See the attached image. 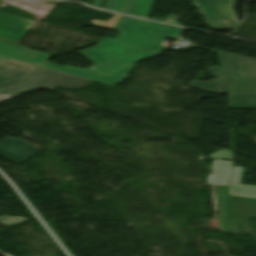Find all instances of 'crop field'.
Returning <instances> with one entry per match:
<instances>
[{
    "label": "crop field",
    "mask_w": 256,
    "mask_h": 256,
    "mask_svg": "<svg viewBox=\"0 0 256 256\" xmlns=\"http://www.w3.org/2000/svg\"><path fill=\"white\" fill-rule=\"evenodd\" d=\"M7 58L0 57V64L5 61Z\"/></svg>",
    "instance_id": "4a817a6b"
},
{
    "label": "crop field",
    "mask_w": 256,
    "mask_h": 256,
    "mask_svg": "<svg viewBox=\"0 0 256 256\" xmlns=\"http://www.w3.org/2000/svg\"><path fill=\"white\" fill-rule=\"evenodd\" d=\"M37 66L7 59L0 65V102L41 89L20 81Z\"/></svg>",
    "instance_id": "412701ff"
},
{
    "label": "crop field",
    "mask_w": 256,
    "mask_h": 256,
    "mask_svg": "<svg viewBox=\"0 0 256 256\" xmlns=\"http://www.w3.org/2000/svg\"><path fill=\"white\" fill-rule=\"evenodd\" d=\"M102 1L103 0H96L93 6L99 8ZM128 3H129V0H108L105 8H101V9L124 13Z\"/></svg>",
    "instance_id": "cbeb9de0"
},
{
    "label": "crop field",
    "mask_w": 256,
    "mask_h": 256,
    "mask_svg": "<svg viewBox=\"0 0 256 256\" xmlns=\"http://www.w3.org/2000/svg\"><path fill=\"white\" fill-rule=\"evenodd\" d=\"M210 157L233 160L232 152L224 149L212 154Z\"/></svg>",
    "instance_id": "733c2abd"
},
{
    "label": "crop field",
    "mask_w": 256,
    "mask_h": 256,
    "mask_svg": "<svg viewBox=\"0 0 256 256\" xmlns=\"http://www.w3.org/2000/svg\"><path fill=\"white\" fill-rule=\"evenodd\" d=\"M41 67L49 68L52 70L64 72L67 74L75 75L78 77L90 79L93 81H97L109 86H114L126 76L127 72L130 71L132 68L135 67L133 64H129L107 76L97 74L95 72L86 70V69H80L72 66H59L54 63L46 62Z\"/></svg>",
    "instance_id": "e52e79f7"
},
{
    "label": "crop field",
    "mask_w": 256,
    "mask_h": 256,
    "mask_svg": "<svg viewBox=\"0 0 256 256\" xmlns=\"http://www.w3.org/2000/svg\"><path fill=\"white\" fill-rule=\"evenodd\" d=\"M0 56L39 66L53 56L24 48L0 39Z\"/></svg>",
    "instance_id": "3316defc"
},
{
    "label": "crop field",
    "mask_w": 256,
    "mask_h": 256,
    "mask_svg": "<svg viewBox=\"0 0 256 256\" xmlns=\"http://www.w3.org/2000/svg\"><path fill=\"white\" fill-rule=\"evenodd\" d=\"M96 43L97 46L76 54L86 57L95 64L86 69L104 74H109L129 63H135L159 54L106 39Z\"/></svg>",
    "instance_id": "8a807250"
},
{
    "label": "crop field",
    "mask_w": 256,
    "mask_h": 256,
    "mask_svg": "<svg viewBox=\"0 0 256 256\" xmlns=\"http://www.w3.org/2000/svg\"><path fill=\"white\" fill-rule=\"evenodd\" d=\"M120 31L119 38H106L132 46L161 53L166 47L161 46L165 38L177 39L182 29L123 17L115 26Z\"/></svg>",
    "instance_id": "ac0d7876"
},
{
    "label": "crop field",
    "mask_w": 256,
    "mask_h": 256,
    "mask_svg": "<svg viewBox=\"0 0 256 256\" xmlns=\"http://www.w3.org/2000/svg\"><path fill=\"white\" fill-rule=\"evenodd\" d=\"M226 93L256 94V60L217 51Z\"/></svg>",
    "instance_id": "34b2d1b8"
},
{
    "label": "crop field",
    "mask_w": 256,
    "mask_h": 256,
    "mask_svg": "<svg viewBox=\"0 0 256 256\" xmlns=\"http://www.w3.org/2000/svg\"><path fill=\"white\" fill-rule=\"evenodd\" d=\"M120 17L121 16L114 15L107 22L93 19V26L111 29L113 27V25L119 20Z\"/></svg>",
    "instance_id": "5142ce71"
},
{
    "label": "crop field",
    "mask_w": 256,
    "mask_h": 256,
    "mask_svg": "<svg viewBox=\"0 0 256 256\" xmlns=\"http://www.w3.org/2000/svg\"><path fill=\"white\" fill-rule=\"evenodd\" d=\"M207 69L213 75L215 81H193L190 82V85L202 91L222 93V74L220 69L213 67H208Z\"/></svg>",
    "instance_id": "28ad6ade"
},
{
    "label": "crop field",
    "mask_w": 256,
    "mask_h": 256,
    "mask_svg": "<svg viewBox=\"0 0 256 256\" xmlns=\"http://www.w3.org/2000/svg\"><path fill=\"white\" fill-rule=\"evenodd\" d=\"M153 0H131L125 14L146 18Z\"/></svg>",
    "instance_id": "22f410ed"
},
{
    "label": "crop field",
    "mask_w": 256,
    "mask_h": 256,
    "mask_svg": "<svg viewBox=\"0 0 256 256\" xmlns=\"http://www.w3.org/2000/svg\"><path fill=\"white\" fill-rule=\"evenodd\" d=\"M24 221H27L23 217H9V216H4L0 218V224H3L7 227L17 225L19 223H22Z\"/></svg>",
    "instance_id": "d9b57169"
},
{
    "label": "crop field",
    "mask_w": 256,
    "mask_h": 256,
    "mask_svg": "<svg viewBox=\"0 0 256 256\" xmlns=\"http://www.w3.org/2000/svg\"><path fill=\"white\" fill-rule=\"evenodd\" d=\"M22 81L48 90H54L58 86L74 90L92 83L90 80L41 67L35 69L28 76L22 79Z\"/></svg>",
    "instance_id": "dd49c442"
},
{
    "label": "crop field",
    "mask_w": 256,
    "mask_h": 256,
    "mask_svg": "<svg viewBox=\"0 0 256 256\" xmlns=\"http://www.w3.org/2000/svg\"><path fill=\"white\" fill-rule=\"evenodd\" d=\"M41 151H43L41 147L22 139L6 138L0 141V156L17 165Z\"/></svg>",
    "instance_id": "d8731c3e"
},
{
    "label": "crop field",
    "mask_w": 256,
    "mask_h": 256,
    "mask_svg": "<svg viewBox=\"0 0 256 256\" xmlns=\"http://www.w3.org/2000/svg\"><path fill=\"white\" fill-rule=\"evenodd\" d=\"M229 108L256 109V96L229 94Z\"/></svg>",
    "instance_id": "d1516ede"
},
{
    "label": "crop field",
    "mask_w": 256,
    "mask_h": 256,
    "mask_svg": "<svg viewBox=\"0 0 256 256\" xmlns=\"http://www.w3.org/2000/svg\"><path fill=\"white\" fill-rule=\"evenodd\" d=\"M212 30L234 29L240 22L233 10L236 0H195Z\"/></svg>",
    "instance_id": "f4fd0767"
},
{
    "label": "crop field",
    "mask_w": 256,
    "mask_h": 256,
    "mask_svg": "<svg viewBox=\"0 0 256 256\" xmlns=\"http://www.w3.org/2000/svg\"><path fill=\"white\" fill-rule=\"evenodd\" d=\"M34 24L35 22L0 13V37L18 43Z\"/></svg>",
    "instance_id": "5a996713"
}]
</instances>
